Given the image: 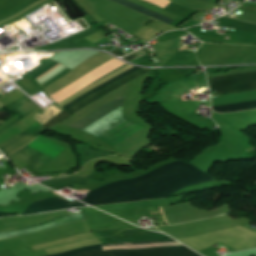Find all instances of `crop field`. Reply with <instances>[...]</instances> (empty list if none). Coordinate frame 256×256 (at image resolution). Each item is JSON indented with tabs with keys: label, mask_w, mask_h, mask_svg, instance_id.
<instances>
[{
	"label": "crop field",
	"mask_w": 256,
	"mask_h": 256,
	"mask_svg": "<svg viewBox=\"0 0 256 256\" xmlns=\"http://www.w3.org/2000/svg\"><path fill=\"white\" fill-rule=\"evenodd\" d=\"M210 181L214 180L194 166L174 161L140 177L118 181L90 191L82 201L98 205L163 198L178 190Z\"/></svg>",
	"instance_id": "8a807250"
},
{
	"label": "crop field",
	"mask_w": 256,
	"mask_h": 256,
	"mask_svg": "<svg viewBox=\"0 0 256 256\" xmlns=\"http://www.w3.org/2000/svg\"><path fill=\"white\" fill-rule=\"evenodd\" d=\"M123 96L118 97L117 99L109 102L108 104L96 109L95 111L88 114L86 117L82 118L78 122L70 125L69 127H73L75 129L81 130L85 128L86 126L90 125L91 123L99 120L109 112L113 111L120 105H122L123 102ZM127 119L124 117L122 113V106L111 112L110 114L106 115L99 121L91 124L90 126L86 127L82 131L87 132L93 136H100L111 129H113L118 124L126 121ZM142 127L135 125L131 122H124L117 127H115L110 132L104 134L103 136L99 137L106 142H108L110 145H114L125 138L129 137L130 135L134 134L136 131L140 130Z\"/></svg>",
	"instance_id": "ac0d7876"
},
{
	"label": "crop field",
	"mask_w": 256,
	"mask_h": 256,
	"mask_svg": "<svg viewBox=\"0 0 256 256\" xmlns=\"http://www.w3.org/2000/svg\"><path fill=\"white\" fill-rule=\"evenodd\" d=\"M211 90L228 94L256 90V71L208 78Z\"/></svg>",
	"instance_id": "34b2d1b8"
},
{
	"label": "crop field",
	"mask_w": 256,
	"mask_h": 256,
	"mask_svg": "<svg viewBox=\"0 0 256 256\" xmlns=\"http://www.w3.org/2000/svg\"><path fill=\"white\" fill-rule=\"evenodd\" d=\"M80 256H199L184 246L132 249V250H113L97 253L84 254Z\"/></svg>",
	"instance_id": "412701ff"
},
{
	"label": "crop field",
	"mask_w": 256,
	"mask_h": 256,
	"mask_svg": "<svg viewBox=\"0 0 256 256\" xmlns=\"http://www.w3.org/2000/svg\"><path fill=\"white\" fill-rule=\"evenodd\" d=\"M11 157L21 161L22 163L31 166L37 170L44 167L52 158L26 146L21 150L10 155Z\"/></svg>",
	"instance_id": "f4fd0767"
},
{
	"label": "crop field",
	"mask_w": 256,
	"mask_h": 256,
	"mask_svg": "<svg viewBox=\"0 0 256 256\" xmlns=\"http://www.w3.org/2000/svg\"><path fill=\"white\" fill-rule=\"evenodd\" d=\"M84 206L79 202L73 200L72 202L64 199V198H49L39 200L33 204L23 213V214H32L36 212L60 209V208H70V207H78Z\"/></svg>",
	"instance_id": "dd49c442"
},
{
	"label": "crop field",
	"mask_w": 256,
	"mask_h": 256,
	"mask_svg": "<svg viewBox=\"0 0 256 256\" xmlns=\"http://www.w3.org/2000/svg\"><path fill=\"white\" fill-rule=\"evenodd\" d=\"M149 71H151V70L141 69V70H139V71H137V72L127 76L126 78H124V79L114 83L113 85L103 89L102 91L92 95L91 97L83 100L82 102L78 103L77 105L73 106L72 108H70L67 111H69L70 113L73 114V113L77 112L78 110H80L81 108H83L86 105H88L89 103L97 100L98 98L106 95L107 93H109V92H111V91H113V90H115L117 88H120V87L128 84L129 82L133 81L134 79L140 77L141 75H143V74H145V73H147Z\"/></svg>",
	"instance_id": "e52e79f7"
},
{
	"label": "crop field",
	"mask_w": 256,
	"mask_h": 256,
	"mask_svg": "<svg viewBox=\"0 0 256 256\" xmlns=\"http://www.w3.org/2000/svg\"><path fill=\"white\" fill-rule=\"evenodd\" d=\"M84 219L83 214L80 215H72V216H66L58 219H54V222L46 223L44 225L36 226L33 228L21 230V231H14V232H5V233H0V238H6V237H13V236H18V235H23V234H29L57 226L64 225L68 222L75 221V220H81Z\"/></svg>",
	"instance_id": "d8731c3e"
},
{
	"label": "crop field",
	"mask_w": 256,
	"mask_h": 256,
	"mask_svg": "<svg viewBox=\"0 0 256 256\" xmlns=\"http://www.w3.org/2000/svg\"><path fill=\"white\" fill-rule=\"evenodd\" d=\"M34 136L20 133L17 137L10 140L9 142L0 146V150L5 153L7 156L17 150L18 148L22 147L23 145L29 143Z\"/></svg>",
	"instance_id": "5a996713"
},
{
	"label": "crop field",
	"mask_w": 256,
	"mask_h": 256,
	"mask_svg": "<svg viewBox=\"0 0 256 256\" xmlns=\"http://www.w3.org/2000/svg\"><path fill=\"white\" fill-rule=\"evenodd\" d=\"M138 69H140V68H138V67H133V68L129 69L128 71H126V72L120 74L119 76H117V77L111 79L110 81L104 83L103 85H101V86H99V87H97V88H95V89H93V90H91V91L85 93V94L82 95L81 97L77 98L76 100H74V101L68 103L67 105H65V106H63V107H64L65 109H67V108L73 106L74 104L80 102L81 100H83V99H85V98L91 96L92 94H94V93H96V92L102 90L103 88H105V87L111 85L112 83H114V82L120 80L121 78H123V77H125V76H127V75H129V74H131V73H133V72H135V71H137Z\"/></svg>",
	"instance_id": "3316defc"
},
{
	"label": "crop field",
	"mask_w": 256,
	"mask_h": 256,
	"mask_svg": "<svg viewBox=\"0 0 256 256\" xmlns=\"http://www.w3.org/2000/svg\"><path fill=\"white\" fill-rule=\"evenodd\" d=\"M112 1H114L116 3H119V4L123 5V6L129 7V8H131V9L137 11V12H140V13L146 14V15H148L150 17H153L155 19H158V20H160L162 22H165V23H168V24L173 22V20H171L169 18L161 16V15H159L157 13H154V12H152L150 10H147V9L143 8V7L135 5V4L131 3V2H128V1H125V0H112Z\"/></svg>",
	"instance_id": "28ad6ade"
},
{
	"label": "crop field",
	"mask_w": 256,
	"mask_h": 256,
	"mask_svg": "<svg viewBox=\"0 0 256 256\" xmlns=\"http://www.w3.org/2000/svg\"><path fill=\"white\" fill-rule=\"evenodd\" d=\"M254 108H256V101L215 106V107H212V110L216 112H234V111L254 109Z\"/></svg>",
	"instance_id": "d1516ede"
},
{
	"label": "crop field",
	"mask_w": 256,
	"mask_h": 256,
	"mask_svg": "<svg viewBox=\"0 0 256 256\" xmlns=\"http://www.w3.org/2000/svg\"><path fill=\"white\" fill-rule=\"evenodd\" d=\"M161 241H174V240H161ZM161 241H151V242H137V243H117V244H105L102 246H106V245H121V244H139V243H152V242H161ZM102 248L100 245H96V246H90V247H83V248H77L74 250H70L61 254H56V255H50V256H65V255H71V254H76V253H81V252H86V251H90V250H95V249H100ZM103 249L100 250H95V251H102ZM90 252H94V251H90ZM88 253V252H86ZM83 254V253H81ZM79 255V254H76ZM71 256H75V255H71Z\"/></svg>",
	"instance_id": "22f410ed"
},
{
	"label": "crop field",
	"mask_w": 256,
	"mask_h": 256,
	"mask_svg": "<svg viewBox=\"0 0 256 256\" xmlns=\"http://www.w3.org/2000/svg\"><path fill=\"white\" fill-rule=\"evenodd\" d=\"M52 62H53V61H51V60L49 59V60L45 61L44 63L40 64L39 66H37L36 68L32 69L31 71L27 72V73L31 75V74L35 73L36 71L42 69L43 67L47 66L48 64H50V63H52ZM56 64H58V63L54 62V63L50 64L49 66L43 68L42 70L38 71L37 73L31 75V76L35 79V78H37L38 76H40V75H42L43 73H45V72H47L48 70H50V69H51L52 67H54ZM58 65H59V64H58ZM58 65H56L55 67H57ZM55 67H54V68H55ZM54 68H52V69H54ZM52 69H51V70H52ZM51 70H50V71H51ZM48 72H49V71H48ZM48 72H47V73H48ZM45 74H46V73H45ZM45 74H43V75H45ZM43 75H42V76H43ZM42 76H40V77H42ZM40 77H39V78H40ZM39 78H37V79H39ZM37 79H36V80H37Z\"/></svg>",
	"instance_id": "cbeb9de0"
},
{
	"label": "crop field",
	"mask_w": 256,
	"mask_h": 256,
	"mask_svg": "<svg viewBox=\"0 0 256 256\" xmlns=\"http://www.w3.org/2000/svg\"><path fill=\"white\" fill-rule=\"evenodd\" d=\"M72 114H70L69 112H67L65 109L63 111H61L59 114H57L55 117H53L51 120H49L48 122H46L44 125H42L40 128H43L45 130L55 126L56 124L64 121L65 119H67L69 116H71Z\"/></svg>",
	"instance_id": "5142ce71"
},
{
	"label": "crop field",
	"mask_w": 256,
	"mask_h": 256,
	"mask_svg": "<svg viewBox=\"0 0 256 256\" xmlns=\"http://www.w3.org/2000/svg\"><path fill=\"white\" fill-rule=\"evenodd\" d=\"M144 54H146V51H144L143 48H142V49H140V50L130 54L128 57L127 56L123 57V59L127 60L128 62H130V61H132V60H134V59H136V58H138V57H140V56H142Z\"/></svg>",
	"instance_id": "d9b57169"
},
{
	"label": "crop field",
	"mask_w": 256,
	"mask_h": 256,
	"mask_svg": "<svg viewBox=\"0 0 256 256\" xmlns=\"http://www.w3.org/2000/svg\"><path fill=\"white\" fill-rule=\"evenodd\" d=\"M69 71H71V70H66L64 73H62L61 75H59L58 77H56L54 80H52L51 82H49L48 84H46L44 87H46V86H48V85H50L51 83H53L54 81H56V80H58L59 78H61L62 76H64L66 73H68ZM44 87H42V88H44Z\"/></svg>",
	"instance_id": "733c2abd"
},
{
	"label": "crop field",
	"mask_w": 256,
	"mask_h": 256,
	"mask_svg": "<svg viewBox=\"0 0 256 256\" xmlns=\"http://www.w3.org/2000/svg\"><path fill=\"white\" fill-rule=\"evenodd\" d=\"M110 53L116 55V56H123L124 54L121 53L118 49L111 51Z\"/></svg>",
	"instance_id": "4a817a6b"
},
{
	"label": "crop field",
	"mask_w": 256,
	"mask_h": 256,
	"mask_svg": "<svg viewBox=\"0 0 256 256\" xmlns=\"http://www.w3.org/2000/svg\"><path fill=\"white\" fill-rule=\"evenodd\" d=\"M159 208H160V211H161V214H162L161 207H159ZM162 216H163V214H162ZM163 219H164V221L166 222V220H165L164 216H163ZM166 224H167V222H166Z\"/></svg>",
	"instance_id": "bc2a9ffb"
}]
</instances>
